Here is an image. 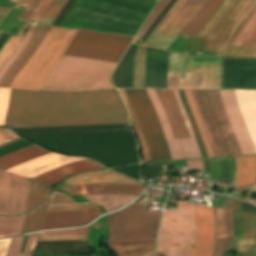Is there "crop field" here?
<instances>
[{
  "instance_id": "65",
  "label": "crop field",
  "mask_w": 256,
  "mask_h": 256,
  "mask_svg": "<svg viewBox=\"0 0 256 256\" xmlns=\"http://www.w3.org/2000/svg\"><path fill=\"white\" fill-rule=\"evenodd\" d=\"M47 0H45L44 4L41 6V8L38 10V12L32 17L31 21H33L34 17L39 14V12L42 10V8L45 6Z\"/></svg>"
},
{
  "instance_id": "11",
  "label": "crop field",
  "mask_w": 256,
  "mask_h": 256,
  "mask_svg": "<svg viewBox=\"0 0 256 256\" xmlns=\"http://www.w3.org/2000/svg\"><path fill=\"white\" fill-rule=\"evenodd\" d=\"M125 91L148 142L151 160L170 159L166 140L146 90Z\"/></svg>"
},
{
  "instance_id": "6",
  "label": "crop field",
  "mask_w": 256,
  "mask_h": 256,
  "mask_svg": "<svg viewBox=\"0 0 256 256\" xmlns=\"http://www.w3.org/2000/svg\"><path fill=\"white\" fill-rule=\"evenodd\" d=\"M192 91L215 155L227 156L241 154L228 117L222 107L219 91Z\"/></svg>"
},
{
  "instance_id": "31",
  "label": "crop field",
  "mask_w": 256,
  "mask_h": 256,
  "mask_svg": "<svg viewBox=\"0 0 256 256\" xmlns=\"http://www.w3.org/2000/svg\"><path fill=\"white\" fill-rule=\"evenodd\" d=\"M50 152L30 145L24 149L0 157V169L6 170L28 160L40 157Z\"/></svg>"
},
{
  "instance_id": "34",
  "label": "crop field",
  "mask_w": 256,
  "mask_h": 256,
  "mask_svg": "<svg viewBox=\"0 0 256 256\" xmlns=\"http://www.w3.org/2000/svg\"><path fill=\"white\" fill-rule=\"evenodd\" d=\"M50 185L29 178L26 212L39 206L46 198Z\"/></svg>"
},
{
  "instance_id": "28",
  "label": "crop field",
  "mask_w": 256,
  "mask_h": 256,
  "mask_svg": "<svg viewBox=\"0 0 256 256\" xmlns=\"http://www.w3.org/2000/svg\"><path fill=\"white\" fill-rule=\"evenodd\" d=\"M144 190V185L133 184H91L79 185V191H73L80 195L84 194H131L139 195Z\"/></svg>"
},
{
  "instance_id": "42",
  "label": "crop field",
  "mask_w": 256,
  "mask_h": 256,
  "mask_svg": "<svg viewBox=\"0 0 256 256\" xmlns=\"http://www.w3.org/2000/svg\"><path fill=\"white\" fill-rule=\"evenodd\" d=\"M118 91H119V93H120V95H121V97H122V99H123V101H124V103H125V105H126V108H127V110H128L129 116H130V118H131V120H132V122H133V124H134V126H135V128H136V131H137V133H138V136H139V138H140V140H141L142 149H143L144 161H149V160H150V153H149V151H148L147 142H146V140H145V138H144V135H143V133H142V130H141V128H140V125H139V123H138V120H137V118H136V115H135V113H134V111H133V109H132V107H131V105H130V103H129L127 97H126V95H125L124 90H118ZM140 140H139V141H140Z\"/></svg>"
},
{
  "instance_id": "17",
  "label": "crop field",
  "mask_w": 256,
  "mask_h": 256,
  "mask_svg": "<svg viewBox=\"0 0 256 256\" xmlns=\"http://www.w3.org/2000/svg\"><path fill=\"white\" fill-rule=\"evenodd\" d=\"M196 232L190 256H211L214 247V208H203L194 204Z\"/></svg>"
},
{
  "instance_id": "21",
  "label": "crop field",
  "mask_w": 256,
  "mask_h": 256,
  "mask_svg": "<svg viewBox=\"0 0 256 256\" xmlns=\"http://www.w3.org/2000/svg\"><path fill=\"white\" fill-rule=\"evenodd\" d=\"M222 56L256 57V11Z\"/></svg>"
},
{
  "instance_id": "43",
  "label": "crop field",
  "mask_w": 256,
  "mask_h": 256,
  "mask_svg": "<svg viewBox=\"0 0 256 256\" xmlns=\"http://www.w3.org/2000/svg\"><path fill=\"white\" fill-rule=\"evenodd\" d=\"M67 0H54L39 22L52 25Z\"/></svg>"
},
{
  "instance_id": "10",
  "label": "crop field",
  "mask_w": 256,
  "mask_h": 256,
  "mask_svg": "<svg viewBox=\"0 0 256 256\" xmlns=\"http://www.w3.org/2000/svg\"><path fill=\"white\" fill-rule=\"evenodd\" d=\"M146 90L157 112L161 127L163 129L164 135L168 143V147H169V151L172 159L184 158L180 140L174 139L172 136V133L175 138H184L189 136H188L182 115L180 113L179 107L173 96L172 90H156L161 100V103L163 105V108L165 110V113L167 115L172 133H171L166 115L162 108V105L155 91L149 90V89H146Z\"/></svg>"
},
{
  "instance_id": "66",
  "label": "crop field",
  "mask_w": 256,
  "mask_h": 256,
  "mask_svg": "<svg viewBox=\"0 0 256 256\" xmlns=\"http://www.w3.org/2000/svg\"><path fill=\"white\" fill-rule=\"evenodd\" d=\"M116 213H117V212H116ZM116 213L110 214V215L108 216V219H107L106 222L110 223V221L112 220V218L114 217V215H115Z\"/></svg>"
},
{
  "instance_id": "72",
  "label": "crop field",
  "mask_w": 256,
  "mask_h": 256,
  "mask_svg": "<svg viewBox=\"0 0 256 256\" xmlns=\"http://www.w3.org/2000/svg\"><path fill=\"white\" fill-rule=\"evenodd\" d=\"M154 256H160V254H158V253H155V255Z\"/></svg>"
},
{
  "instance_id": "8",
  "label": "crop field",
  "mask_w": 256,
  "mask_h": 256,
  "mask_svg": "<svg viewBox=\"0 0 256 256\" xmlns=\"http://www.w3.org/2000/svg\"><path fill=\"white\" fill-rule=\"evenodd\" d=\"M221 59L186 56V72H205V88H219ZM168 72H180L185 78V56L169 52ZM167 88H204V73H168Z\"/></svg>"
},
{
  "instance_id": "27",
  "label": "crop field",
  "mask_w": 256,
  "mask_h": 256,
  "mask_svg": "<svg viewBox=\"0 0 256 256\" xmlns=\"http://www.w3.org/2000/svg\"><path fill=\"white\" fill-rule=\"evenodd\" d=\"M235 95L256 150V91H235Z\"/></svg>"
},
{
  "instance_id": "38",
  "label": "crop field",
  "mask_w": 256,
  "mask_h": 256,
  "mask_svg": "<svg viewBox=\"0 0 256 256\" xmlns=\"http://www.w3.org/2000/svg\"><path fill=\"white\" fill-rule=\"evenodd\" d=\"M184 92H185L186 100H187V102H188V104L191 108L192 114L194 116V119H195L196 124H197L198 129H199V132L201 134L203 145H204L205 151L207 153V156L208 157L215 156L213 151H212V148L210 146L209 139H208L207 133L205 131L204 125L202 123L198 107H197V105L195 103V100L193 98L192 91L191 90H184Z\"/></svg>"
},
{
  "instance_id": "16",
  "label": "crop field",
  "mask_w": 256,
  "mask_h": 256,
  "mask_svg": "<svg viewBox=\"0 0 256 256\" xmlns=\"http://www.w3.org/2000/svg\"><path fill=\"white\" fill-rule=\"evenodd\" d=\"M222 88L256 89V60L224 59Z\"/></svg>"
},
{
  "instance_id": "25",
  "label": "crop field",
  "mask_w": 256,
  "mask_h": 256,
  "mask_svg": "<svg viewBox=\"0 0 256 256\" xmlns=\"http://www.w3.org/2000/svg\"><path fill=\"white\" fill-rule=\"evenodd\" d=\"M48 26L39 25L38 29L31 37L26 47L19 55V57L14 61V63L9 67V69L5 72L3 78L0 81V87H8L12 79L16 76L22 66L27 62V60L31 57L34 51L39 46L41 40L46 34Z\"/></svg>"
},
{
  "instance_id": "2",
  "label": "crop field",
  "mask_w": 256,
  "mask_h": 256,
  "mask_svg": "<svg viewBox=\"0 0 256 256\" xmlns=\"http://www.w3.org/2000/svg\"><path fill=\"white\" fill-rule=\"evenodd\" d=\"M150 13L158 0H97ZM93 0H77L60 27L134 36L147 13ZM140 29V28H139ZM138 32V31H137Z\"/></svg>"
},
{
  "instance_id": "67",
  "label": "crop field",
  "mask_w": 256,
  "mask_h": 256,
  "mask_svg": "<svg viewBox=\"0 0 256 256\" xmlns=\"http://www.w3.org/2000/svg\"><path fill=\"white\" fill-rule=\"evenodd\" d=\"M18 140H21V139H20V138H18V139H16V140H13V141H11V142H8V143H6V144H3V145H1V146H0V148H1V147H3V146H5V145H7V144H9V143H12V142L18 141Z\"/></svg>"
},
{
  "instance_id": "45",
  "label": "crop field",
  "mask_w": 256,
  "mask_h": 256,
  "mask_svg": "<svg viewBox=\"0 0 256 256\" xmlns=\"http://www.w3.org/2000/svg\"><path fill=\"white\" fill-rule=\"evenodd\" d=\"M178 91H179L181 100L183 102L184 108L186 110L187 116L189 118V121L191 123L192 129L194 131L195 137L197 139V142H198V145H199V149H200V152H201V156L202 157H207L206 153L204 151V148H203V145H202V141H201V137H200V134H199L198 129L196 127L195 121H194L193 116L191 114V111H190V109L188 107V104H187V102L185 100L184 92H183V90H178Z\"/></svg>"
},
{
  "instance_id": "62",
  "label": "crop field",
  "mask_w": 256,
  "mask_h": 256,
  "mask_svg": "<svg viewBox=\"0 0 256 256\" xmlns=\"http://www.w3.org/2000/svg\"><path fill=\"white\" fill-rule=\"evenodd\" d=\"M38 235H39V233L35 234V237H34V239H33V242H32L31 249H30V252H29V253H31V251H32V249H33V247H34V245H35V243H36V241H37Z\"/></svg>"
},
{
  "instance_id": "36",
  "label": "crop field",
  "mask_w": 256,
  "mask_h": 256,
  "mask_svg": "<svg viewBox=\"0 0 256 256\" xmlns=\"http://www.w3.org/2000/svg\"><path fill=\"white\" fill-rule=\"evenodd\" d=\"M90 203L76 204L71 198L62 193L53 192L47 211H66L93 208Z\"/></svg>"
},
{
  "instance_id": "53",
  "label": "crop field",
  "mask_w": 256,
  "mask_h": 256,
  "mask_svg": "<svg viewBox=\"0 0 256 256\" xmlns=\"http://www.w3.org/2000/svg\"><path fill=\"white\" fill-rule=\"evenodd\" d=\"M18 137L6 132L5 130L0 128V144L8 142L10 140L16 139Z\"/></svg>"
},
{
  "instance_id": "5",
  "label": "crop field",
  "mask_w": 256,
  "mask_h": 256,
  "mask_svg": "<svg viewBox=\"0 0 256 256\" xmlns=\"http://www.w3.org/2000/svg\"><path fill=\"white\" fill-rule=\"evenodd\" d=\"M76 32L77 30L50 27L40 46L14 78L10 87L39 90Z\"/></svg>"
},
{
  "instance_id": "23",
  "label": "crop field",
  "mask_w": 256,
  "mask_h": 256,
  "mask_svg": "<svg viewBox=\"0 0 256 256\" xmlns=\"http://www.w3.org/2000/svg\"><path fill=\"white\" fill-rule=\"evenodd\" d=\"M82 159L84 158L65 157V156L51 153L49 155L34 159L32 161L21 164L19 166L8 169L6 171L15 173L19 176L32 178L38 174L44 173L46 171L57 168L64 164L82 160Z\"/></svg>"
},
{
  "instance_id": "30",
  "label": "crop field",
  "mask_w": 256,
  "mask_h": 256,
  "mask_svg": "<svg viewBox=\"0 0 256 256\" xmlns=\"http://www.w3.org/2000/svg\"><path fill=\"white\" fill-rule=\"evenodd\" d=\"M107 244L118 253V256H149L155 250V240Z\"/></svg>"
},
{
  "instance_id": "52",
  "label": "crop field",
  "mask_w": 256,
  "mask_h": 256,
  "mask_svg": "<svg viewBox=\"0 0 256 256\" xmlns=\"http://www.w3.org/2000/svg\"><path fill=\"white\" fill-rule=\"evenodd\" d=\"M65 234H78V235H87V229L83 230H61V231H48V232H42L40 236L43 235H65Z\"/></svg>"
},
{
  "instance_id": "64",
  "label": "crop field",
  "mask_w": 256,
  "mask_h": 256,
  "mask_svg": "<svg viewBox=\"0 0 256 256\" xmlns=\"http://www.w3.org/2000/svg\"><path fill=\"white\" fill-rule=\"evenodd\" d=\"M153 164L173 166L171 162H158Z\"/></svg>"
},
{
  "instance_id": "29",
  "label": "crop field",
  "mask_w": 256,
  "mask_h": 256,
  "mask_svg": "<svg viewBox=\"0 0 256 256\" xmlns=\"http://www.w3.org/2000/svg\"><path fill=\"white\" fill-rule=\"evenodd\" d=\"M102 182L141 184L134 180H130L123 176L115 174L109 170L78 175L62 184H90Z\"/></svg>"
},
{
  "instance_id": "22",
  "label": "crop field",
  "mask_w": 256,
  "mask_h": 256,
  "mask_svg": "<svg viewBox=\"0 0 256 256\" xmlns=\"http://www.w3.org/2000/svg\"><path fill=\"white\" fill-rule=\"evenodd\" d=\"M168 53L147 47L145 88H166Z\"/></svg>"
},
{
  "instance_id": "50",
  "label": "crop field",
  "mask_w": 256,
  "mask_h": 256,
  "mask_svg": "<svg viewBox=\"0 0 256 256\" xmlns=\"http://www.w3.org/2000/svg\"><path fill=\"white\" fill-rule=\"evenodd\" d=\"M142 239H153V236L152 234H148V235L110 237L108 242H129V241L142 240Z\"/></svg>"
},
{
  "instance_id": "57",
  "label": "crop field",
  "mask_w": 256,
  "mask_h": 256,
  "mask_svg": "<svg viewBox=\"0 0 256 256\" xmlns=\"http://www.w3.org/2000/svg\"><path fill=\"white\" fill-rule=\"evenodd\" d=\"M185 54H189L192 56H218V55H211V54H204V53H197V52H190V51H186Z\"/></svg>"
},
{
  "instance_id": "19",
  "label": "crop field",
  "mask_w": 256,
  "mask_h": 256,
  "mask_svg": "<svg viewBox=\"0 0 256 256\" xmlns=\"http://www.w3.org/2000/svg\"><path fill=\"white\" fill-rule=\"evenodd\" d=\"M221 2L222 0H207L198 13L181 31L168 50L183 53Z\"/></svg>"
},
{
  "instance_id": "32",
  "label": "crop field",
  "mask_w": 256,
  "mask_h": 256,
  "mask_svg": "<svg viewBox=\"0 0 256 256\" xmlns=\"http://www.w3.org/2000/svg\"><path fill=\"white\" fill-rule=\"evenodd\" d=\"M237 177L235 191L248 187L256 180V156L236 158Z\"/></svg>"
},
{
  "instance_id": "70",
  "label": "crop field",
  "mask_w": 256,
  "mask_h": 256,
  "mask_svg": "<svg viewBox=\"0 0 256 256\" xmlns=\"http://www.w3.org/2000/svg\"><path fill=\"white\" fill-rule=\"evenodd\" d=\"M2 33H3V32H2ZM4 33H6V32H4ZM9 34H11V35H10V37H11V36H12V33H9ZM1 35H2V34H1ZM1 35H0V36H1ZM10 37H9V38H10ZM8 40H9V39H8ZM8 40H7V41H8Z\"/></svg>"
},
{
  "instance_id": "54",
  "label": "crop field",
  "mask_w": 256,
  "mask_h": 256,
  "mask_svg": "<svg viewBox=\"0 0 256 256\" xmlns=\"http://www.w3.org/2000/svg\"><path fill=\"white\" fill-rule=\"evenodd\" d=\"M12 239V238H11ZM11 239L0 240V256H5Z\"/></svg>"
},
{
  "instance_id": "20",
  "label": "crop field",
  "mask_w": 256,
  "mask_h": 256,
  "mask_svg": "<svg viewBox=\"0 0 256 256\" xmlns=\"http://www.w3.org/2000/svg\"><path fill=\"white\" fill-rule=\"evenodd\" d=\"M100 215H102V212L98 208L81 211L47 212L42 230L80 227L90 223Z\"/></svg>"
},
{
  "instance_id": "59",
  "label": "crop field",
  "mask_w": 256,
  "mask_h": 256,
  "mask_svg": "<svg viewBox=\"0 0 256 256\" xmlns=\"http://www.w3.org/2000/svg\"><path fill=\"white\" fill-rule=\"evenodd\" d=\"M203 164H204L205 173H210V168H209L208 159L203 160Z\"/></svg>"
},
{
  "instance_id": "58",
  "label": "crop field",
  "mask_w": 256,
  "mask_h": 256,
  "mask_svg": "<svg viewBox=\"0 0 256 256\" xmlns=\"http://www.w3.org/2000/svg\"><path fill=\"white\" fill-rule=\"evenodd\" d=\"M52 2V0H49L48 3L46 4V6L44 7V9L41 11L40 15L38 17L35 18L34 21L38 22L40 20V18L43 16L44 12L46 11L47 7L49 6V4Z\"/></svg>"
},
{
  "instance_id": "12",
  "label": "crop field",
  "mask_w": 256,
  "mask_h": 256,
  "mask_svg": "<svg viewBox=\"0 0 256 256\" xmlns=\"http://www.w3.org/2000/svg\"><path fill=\"white\" fill-rule=\"evenodd\" d=\"M206 0H182L170 16L165 15L144 42L147 46L167 50L175 36L202 7Z\"/></svg>"
},
{
  "instance_id": "13",
  "label": "crop field",
  "mask_w": 256,
  "mask_h": 256,
  "mask_svg": "<svg viewBox=\"0 0 256 256\" xmlns=\"http://www.w3.org/2000/svg\"><path fill=\"white\" fill-rule=\"evenodd\" d=\"M161 214H146L145 205L132 204L120 211L109 226L110 236L156 233Z\"/></svg>"
},
{
  "instance_id": "1",
  "label": "crop field",
  "mask_w": 256,
  "mask_h": 256,
  "mask_svg": "<svg viewBox=\"0 0 256 256\" xmlns=\"http://www.w3.org/2000/svg\"><path fill=\"white\" fill-rule=\"evenodd\" d=\"M5 126L130 127L116 90L48 93L11 89Z\"/></svg>"
},
{
  "instance_id": "18",
  "label": "crop field",
  "mask_w": 256,
  "mask_h": 256,
  "mask_svg": "<svg viewBox=\"0 0 256 256\" xmlns=\"http://www.w3.org/2000/svg\"><path fill=\"white\" fill-rule=\"evenodd\" d=\"M223 107L229 117L242 154L255 153L253 143L238 110L234 91H220Z\"/></svg>"
},
{
  "instance_id": "49",
  "label": "crop field",
  "mask_w": 256,
  "mask_h": 256,
  "mask_svg": "<svg viewBox=\"0 0 256 256\" xmlns=\"http://www.w3.org/2000/svg\"><path fill=\"white\" fill-rule=\"evenodd\" d=\"M10 89L0 88V126L4 127V114L9 98Z\"/></svg>"
},
{
  "instance_id": "55",
  "label": "crop field",
  "mask_w": 256,
  "mask_h": 256,
  "mask_svg": "<svg viewBox=\"0 0 256 256\" xmlns=\"http://www.w3.org/2000/svg\"><path fill=\"white\" fill-rule=\"evenodd\" d=\"M188 168L193 169V168H203L202 166V160H193V161H186Z\"/></svg>"
},
{
  "instance_id": "9",
  "label": "crop field",
  "mask_w": 256,
  "mask_h": 256,
  "mask_svg": "<svg viewBox=\"0 0 256 256\" xmlns=\"http://www.w3.org/2000/svg\"><path fill=\"white\" fill-rule=\"evenodd\" d=\"M132 38L79 30L65 55L118 62Z\"/></svg>"
},
{
  "instance_id": "60",
  "label": "crop field",
  "mask_w": 256,
  "mask_h": 256,
  "mask_svg": "<svg viewBox=\"0 0 256 256\" xmlns=\"http://www.w3.org/2000/svg\"><path fill=\"white\" fill-rule=\"evenodd\" d=\"M181 0H176V2L172 5V7L168 10L167 14H171V12L175 9V7L179 4Z\"/></svg>"
},
{
  "instance_id": "37",
  "label": "crop field",
  "mask_w": 256,
  "mask_h": 256,
  "mask_svg": "<svg viewBox=\"0 0 256 256\" xmlns=\"http://www.w3.org/2000/svg\"><path fill=\"white\" fill-rule=\"evenodd\" d=\"M173 92H174V96L176 98V101H177V103L180 107L181 113L183 115L187 130H188V133H189V136H190V138L180 139L181 143H182L183 151H184V156H185V158L201 157L199 149H198L197 142L195 140V137H194V134L192 132L191 126L189 124L188 118H187L186 113L184 111V108L182 106L178 91L173 90Z\"/></svg>"
},
{
  "instance_id": "47",
  "label": "crop field",
  "mask_w": 256,
  "mask_h": 256,
  "mask_svg": "<svg viewBox=\"0 0 256 256\" xmlns=\"http://www.w3.org/2000/svg\"><path fill=\"white\" fill-rule=\"evenodd\" d=\"M170 0H161L159 5L156 7V9L152 12L150 17L147 19L143 27L140 29L137 38L141 40L149 26L152 24V22L157 18V16L161 13V11L164 9V7L168 4Z\"/></svg>"
},
{
  "instance_id": "68",
  "label": "crop field",
  "mask_w": 256,
  "mask_h": 256,
  "mask_svg": "<svg viewBox=\"0 0 256 256\" xmlns=\"http://www.w3.org/2000/svg\"><path fill=\"white\" fill-rule=\"evenodd\" d=\"M252 203L256 205V200L249 199Z\"/></svg>"
},
{
  "instance_id": "63",
  "label": "crop field",
  "mask_w": 256,
  "mask_h": 256,
  "mask_svg": "<svg viewBox=\"0 0 256 256\" xmlns=\"http://www.w3.org/2000/svg\"><path fill=\"white\" fill-rule=\"evenodd\" d=\"M43 2H44V0H42L41 2H40V4L37 6V8L34 10V12L31 14V16L29 17V19L37 12V10L40 8V6L43 4ZM28 19V20H29Z\"/></svg>"
},
{
  "instance_id": "56",
  "label": "crop field",
  "mask_w": 256,
  "mask_h": 256,
  "mask_svg": "<svg viewBox=\"0 0 256 256\" xmlns=\"http://www.w3.org/2000/svg\"><path fill=\"white\" fill-rule=\"evenodd\" d=\"M73 187H74V185H60L57 188L62 189L64 191L68 192L71 195H76L75 193H72V192L68 191V190H73Z\"/></svg>"
},
{
  "instance_id": "3",
  "label": "crop field",
  "mask_w": 256,
  "mask_h": 256,
  "mask_svg": "<svg viewBox=\"0 0 256 256\" xmlns=\"http://www.w3.org/2000/svg\"><path fill=\"white\" fill-rule=\"evenodd\" d=\"M255 9L256 0H225L188 50L221 55Z\"/></svg>"
},
{
  "instance_id": "48",
  "label": "crop field",
  "mask_w": 256,
  "mask_h": 256,
  "mask_svg": "<svg viewBox=\"0 0 256 256\" xmlns=\"http://www.w3.org/2000/svg\"><path fill=\"white\" fill-rule=\"evenodd\" d=\"M39 1L40 0H20L15 7L19 8V6L22 5L27 8L23 12V14L20 16L19 19L27 20ZM0 34H1V31H0Z\"/></svg>"
},
{
  "instance_id": "44",
  "label": "crop field",
  "mask_w": 256,
  "mask_h": 256,
  "mask_svg": "<svg viewBox=\"0 0 256 256\" xmlns=\"http://www.w3.org/2000/svg\"><path fill=\"white\" fill-rule=\"evenodd\" d=\"M38 26V23L33 22L27 35L25 36V38L23 39V41L20 43V45L17 47L16 51L14 52V54L11 56V58L8 60V62L4 65V67L0 70V79L2 77V75L4 74V72L8 69V67L13 63V61L17 58V56L20 54V52L23 50V48L25 47L26 43L28 42V40L30 39V37L32 36V34L35 32L36 28Z\"/></svg>"
},
{
  "instance_id": "51",
  "label": "crop field",
  "mask_w": 256,
  "mask_h": 256,
  "mask_svg": "<svg viewBox=\"0 0 256 256\" xmlns=\"http://www.w3.org/2000/svg\"><path fill=\"white\" fill-rule=\"evenodd\" d=\"M58 240H88L87 236H44L38 241H58Z\"/></svg>"
},
{
  "instance_id": "4",
  "label": "crop field",
  "mask_w": 256,
  "mask_h": 256,
  "mask_svg": "<svg viewBox=\"0 0 256 256\" xmlns=\"http://www.w3.org/2000/svg\"><path fill=\"white\" fill-rule=\"evenodd\" d=\"M114 63L63 56L41 90L86 91L113 88L109 76Z\"/></svg>"
},
{
  "instance_id": "69",
  "label": "crop field",
  "mask_w": 256,
  "mask_h": 256,
  "mask_svg": "<svg viewBox=\"0 0 256 256\" xmlns=\"http://www.w3.org/2000/svg\"><path fill=\"white\" fill-rule=\"evenodd\" d=\"M252 190L256 191V186L252 187Z\"/></svg>"
},
{
  "instance_id": "26",
  "label": "crop field",
  "mask_w": 256,
  "mask_h": 256,
  "mask_svg": "<svg viewBox=\"0 0 256 256\" xmlns=\"http://www.w3.org/2000/svg\"><path fill=\"white\" fill-rule=\"evenodd\" d=\"M98 169H102V167L95 162L85 160L64 165L45 174L38 175L33 179L41 180L52 185L68 176Z\"/></svg>"
},
{
  "instance_id": "14",
  "label": "crop field",
  "mask_w": 256,
  "mask_h": 256,
  "mask_svg": "<svg viewBox=\"0 0 256 256\" xmlns=\"http://www.w3.org/2000/svg\"><path fill=\"white\" fill-rule=\"evenodd\" d=\"M27 178L0 170V215L25 212Z\"/></svg>"
},
{
  "instance_id": "40",
  "label": "crop field",
  "mask_w": 256,
  "mask_h": 256,
  "mask_svg": "<svg viewBox=\"0 0 256 256\" xmlns=\"http://www.w3.org/2000/svg\"><path fill=\"white\" fill-rule=\"evenodd\" d=\"M31 23L32 22H26L25 25L21 28V30L17 33V35L15 37H11V39L5 45L2 52L0 53V69L13 54L14 50L23 39Z\"/></svg>"
},
{
  "instance_id": "7",
  "label": "crop field",
  "mask_w": 256,
  "mask_h": 256,
  "mask_svg": "<svg viewBox=\"0 0 256 256\" xmlns=\"http://www.w3.org/2000/svg\"><path fill=\"white\" fill-rule=\"evenodd\" d=\"M194 232L193 204L177 201V210L164 211L157 237V252L164 256H189Z\"/></svg>"
},
{
  "instance_id": "71",
  "label": "crop field",
  "mask_w": 256,
  "mask_h": 256,
  "mask_svg": "<svg viewBox=\"0 0 256 256\" xmlns=\"http://www.w3.org/2000/svg\"><path fill=\"white\" fill-rule=\"evenodd\" d=\"M11 2H17L18 0H10Z\"/></svg>"
},
{
  "instance_id": "35",
  "label": "crop field",
  "mask_w": 256,
  "mask_h": 256,
  "mask_svg": "<svg viewBox=\"0 0 256 256\" xmlns=\"http://www.w3.org/2000/svg\"><path fill=\"white\" fill-rule=\"evenodd\" d=\"M209 162L211 167L210 180H234L232 179L233 170H235L234 158L209 159Z\"/></svg>"
},
{
  "instance_id": "61",
  "label": "crop field",
  "mask_w": 256,
  "mask_h": 256,
  "mask_svg": "<svg viewBox=\"0 0 256 256\" xmlns=\"http://www.w3.org/2000/svg\"><path fill=\"white\" fill-rule=\"evenodd\" d=\"M240 203H241L240 201L234 199L233 209L239 210Z\"/></svg>"
},
{
  "instance_id": "41",
  "label": "crop field",
  "mask_w": 256,
  "mask_h": 256,
  "mask_svg": "<svg viewBox=\"0 0 256 256\" xmlns=\"http://www.w3.org/2000/svg\"><path fill=\"white\" fill-rule=\"evenodd\" d=\"M23 216L13 218H0V238L20 234L22 229Z\"/></svg>"
},
{
  "instance_id": "24",
  "label": "crop field",
  "mask_w": 256,
  "mask_h": 256,
  "mask_svg": "<svg viewBox=\"0 0 256 256\" xmlns=\"http://www.w3.org/2000/svg\"><path fill=\"white\" fill-rule=\"evenodd\" d=\"M232 206L233 200L228 199V206L226 209L215 208L217 236L214 256H222L223 251L229 250L230 248L233 231Z\"/></svg>"
},
{
  "instance_id": "15",
  "label": "crop field",
  "mask_w": 256,
  "mask_h": 256,
  "mask_svg": "<svg viewBox=\"0 0 256 256\" xmlns=\"http://www.w3.org/2000/svg\"><path fill=\"white\" fill-rule=\"evenodd\" d=\"M242 206H243V202L241 204L240 211L234 210V213H233L234 232H233V239H232L230 250H236L235 256H237V250H238ZM254 210H255V206L244 202L238 256H249L251 234H252L253 220H254ZM250 256H256V211H255V220H254V228H253V234H252Z\"/></svg>"
},
{
  "instance_id": "46",
  "label": "crop field",
  "mask_w": 256,
  "mask_h": 256,
  "mask_svg": "<svg viewBox=\"0 0 256 256\" xmlns=\"http://www.w3.org/2000/svg\"><path fill=\"white\" fill-rule=\"evenodd\" d=\"M33 235L34 234L29 236L23 254L19 253V251H20L24 236L14 238L7 256H30V254H28V251H29L30 243L33 239Z\"/></svg>"
},
{
  "instance_id": "33",
  "label": "crop field",
  "mask_w": 256,
  "mask_h": 256,
  "mask_svg": "<svg viewBox=\"0 0 256 256\" xmlns=\"http://www.w3.org/2000/svg\"><path fill=\"white\" fill-rule=\"evenodd\" d=\"M84 198L97 206L102 205L106 212L117 210L137 196L128 195H84Z\"/></svg>"
},
{
  "instance_id": "39",
  "label": "crop field",
  "mask_w": 256,
  "mask_h": 256,
  "mask_svg": "<svg viewBox=\"0 0 256 256\" xmlns=\"http://www.w3.org/2000/svg\"><path fill=\"white\" fill-rule=\"evenodd\" d=\"M48 200L36 211L25 215L22 233H28L32 231L41 230L46 210L48 206Z\"/></svg>"
}]
</instances>
